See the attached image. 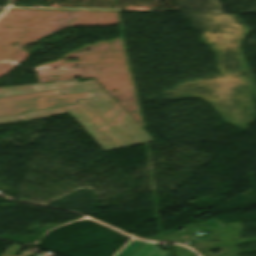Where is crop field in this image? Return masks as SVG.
<instances>
[{
    "instance_id": "ac0d7876",
    "label": "crop field",
    "mask_w": 256,
    "mask_h": 256,
    "mask_svg": "<svg viewBox=\"0 0 256 256\" xmlns=\"http://www.w3.org/2000/svg\"><path fill=\"white\" fill-rule=\"evenodd\" d=\"M89 97H92L90 91L61 95L58 90L1 97L0 116L38 108L75 104L78 99Z\"/></svg>"
},
{
    "instance_id": "8a807250",
    "label": "crop field",
    "mask_w": 256,
    "mask_h": 256,
    "mask_svg": "<svg viewBox=\"0 0 256 256\" xmlns=\"http://www.w3.org/2000/svg\"><path fill=\"white\" fill-rule=\"evenodd\" d=\"M49 89H58L62 94L91 90L94 99L79 101V104L70 107L29 111L22 115L2 117L0 124L68 112L105 151L151 141L137 123L94 81L79 83L78 80H74L2 88L0 97Z\"/></svg>"
},
{
    "instance_id": "412701ff",
    "label": "crop field",
    "mask_w": 256,
    "mask_h": 256,
    "mask_svg": "<svg viewBox=\"0 0 256 256\" xmlns=\"http://www.w3.org/2000/svg\"><path fill=\"white\" fill-rule=\"evenodd\" d=\"M144 240L132 239L125 247H123L115 256H129L136 248H138Z\"/></svg>"
},
{
    "instance_id": "34b2d1b8",
    "label": "crop field",
    "mask_w": 256,
    "mask_h": 256,
    "mask_svg": "<svg viewBox=\"0 0 256 256\" xmlns=\"http://www.w3.org/2000/svg\"><path fill=\"white\" fill-rule=\"evenodd\" d=\"M160 243L146 241L132 256H167L169 252L159 250Z\"/></svg>"
}]
</instances>
